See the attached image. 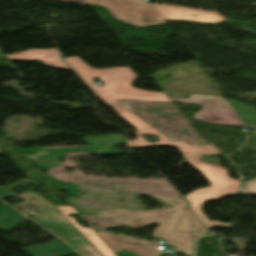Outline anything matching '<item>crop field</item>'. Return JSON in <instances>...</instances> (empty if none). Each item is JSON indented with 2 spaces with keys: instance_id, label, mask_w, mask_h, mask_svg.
<instances>
[{
  "instance_id": "1",
  "label": "crop field",
  "mask_w": 256,
  "mask_h": 256,
  "mask_svg": "<svg viewBox=\"0 0 256 256\" xmlns=\"http://www.w3.org/2000/svg\"><path fill=\"white\" fill-rule=\"evenodd\" d=\"M70 66L89 84V86L103 99L111 108L116 110L121 117L137 127V140L129 141V147H173L178 148L189 161V163L199 169L212 183L209 188L196 189L188 194L186 199L194 210L212 227H230L231 224H223L218 221L210 222L203 213L205 202L215 200L237 193L240 188L239 181L227 177V169L207 164L199 160L201 155H212L216 153L214 145L206 147L189 146L183 141L173 142L150 124L134 115L130 111L118 104L121 99H135L140 101L172 102L164 93H154L150 91L135 89L130 84L138 78L136 73L128 67H116L109 69H94L85 64L79 57L65 59ZM101 79L105 86L97 87L93 78ZM141 133L155 134L160 137L157 143H149Z\"/></svg>"
},
{
  "instance_id": "2",
  "label": "crop field",
  "mask_w": 256,
  "mask_h": 256,
  "mask_svg": "<svg viewBox=\"0 0 256 256\" xmlns=\"http://www.w3.org/2000/svg\"><path fill=\"white\" fill-rule=\"evenodd\" d=\"M153 197L163 199L164 202H168L170 206H176V208L147 212L111 210L100 212L97 215L101 217H114L116 222L124 223L132 228L159 223V227L154 230L152 236L164 237L168 240L167 243L177 247L176 252L192 254L193 241L172 233L187 205L182 199L178 198Z\"/></svg>"
},
{
  "instance_id": "3",
  "label": "crop field",
  "mask_w": 256,
  "mask_h": 256,
  "mask_svg": "<svg viewBox=\"0 0 256 256\" xmlns=\"http://www.w3.org/2000/svg\"><path fill=\"white\" fill-rule=\"evenodd\" d=\"M17 197L25 202L15 205L16 207H20L25 212L38 209L41 213L34 215L38 219L37 222L69 242L81 256H101L89 245L83 235L47 201L32 192L18 195Z\"/></svg>"
},
{
  "instance_id": "4",
  "label": "crop field",
  "mask_w": 256,
  "mask_h": 256,
  "mask_svg": "<svg viewBox=\"0 0 256 256\" xmlns=\"http://www.w3.org/2000/svg\"><path fill=\"white\" fill-rule=\"evenodd\" d=\"M89 5L104 6L113 17L136 28L165 24L156 9L141 0H86Z\"/></svg>"
},
{
  "instance_id": "5",
  "label": "crop field",
  "mask_w": 256,
  "mask_h": 256,
  "mask_svg": "<svg viewBox=\"0 0 256 256\" xmlns=\"http://www.w3.org/2000/svg\"><path fill=\"white\" fill-rule=\"evenodd\" d=\"M173 102L201 105L202 110L195 113L193 119L213 125L239 126L246 125L239 118L232 106L224 97H212L190 94L189 99L171 98Z\"/></svg>"
},
{
  "instance_id": "6",
  "label": "crop field",
  "mask_w": 256,
  "mask_h": 256,
  "mask_svg": "<svg viewBox=\"0 0 256 256\" xmlns=\"http://www.w3.org/2000/svg\"><path fill=\"white\" fill-rule=\"evenodd\" d=\"M98 235L108 244L114 251L127 250L141 256H158L160 250H157L158 243H151L142 239L125 236L122 234L113 235L106 231L98 233Z\"/></svg>"
},
{
  "instance_id": "7",
  "label": "crop field",
  "mask_w": 256,
  "mask_h": 256,
  "mask_svg": "<svg viewBox=\"0 0 256 256\" xmlns=\"http://www.w3.org/2000/svg\"><path fill=\"white\" fill-rule=\"evenodd\" d=\"M154 5L161 13L165 21H190L201 24H216L225 21L222 16L210 12L156 4Z\"/></svg>"
},
{
  "instance_id": "8",
  "label": "crop field",
  "mask_w": 256,
  "mask_h": 256,
  "mask_svg": "<svg viewBox=\"0 0 256 256\" xmlns=\"http://www.w3.org/2000/svg\"><path fill=\"white\" fill-rule=\"evenodd\" d=\"M9 60L42 61L45 66L70 70L60 58L56 49H32L16 55L7 56Z\"/></svg>"
},
{
  "instance_id": "9",
  "label": "crop field",
  "mask_w": 256,
  "mask_h": 256,
  "mask_svg": "<svg viewBox=\"0 0 256 256\" xmlns=\"http://www.w3.org/2000/svg\"><path fill=\"white\" fill-rule=\"evenodd\" d=\"M25 154L40 153V150H48L47 157L38 158V163H33L37 168L48 170L59 162L72 151H92L90 148H62V149H42V148H20Z\"/></svg>"
},
{
  "instance_id": "10",
  "label": "crop field",
  "mask_w": 256,
  "mask_h": 256,
  "mask_svg": "<svg viewBox=\"0 0 256 256\" xmlns=\"http://www.w3.org/2000/svg\"><path fill=\"white\" fill-rule=\"evenodd\" d=\"M206 226L197 218L194 212L188 207L181 222L176 228V234L195 240L199 235H206Z\"/></svg>"
},
{
  "instance_id": "11",
  "label": "crop field",
  "mask_w": 256,
  "mask_h": 256,
  "mask_svg": "<svg viewBox=\"0 0 256 256\" xmlns=\"http://www.w3.org/2000/svg\"><path fill=\"white\" fill-rule=\"evenodd\" d=\"M57 208L66 217V219L72 225H74L103 256H115L114 253L101 241V239L93 230L81 227L75 223L73 218L67 217V215L78 214L72 206H57Z\"/></svg>"
},
{
  "instance_id": "12",
  "label": "crop field",
  "mask_w": 256,
  "mask_h": 256,
  "mask_svg": "<svg viewBox=\"0 0 256 256\" xmlns=\"http://www.w3.org/2000/svg\"><path fill=\"white\" fill-rule=\"evenodd\" d=\"M84 140L97 155L121 153L113 146L119 143H126L123 135L95 136Z\"/></svg>"
},
{
  "instance_id": "13",
  "label": "crop field",
  "mask_w": 256,
  "mask_h": 256,
  "mask_svg": "<svg viewBox=\"0 0 256 256\" xmlns=\"http://www.w3.org/2000/svg\"><path fill=\"white\" fill-rule=\"evenodd\" d=\"M33 256H68L75 252L59 240L26 248Z\"/></svg>"
},
{
  "instance_id": "14",
  "label": "crop field",
  "mask_w": 256,
  "mask_h": 256,
  "mask_svg": "<svg viewBox=\"0 0 256 256\" xmlns=\"http://www.w3.org/2000/svg\"><path fill=\"white\" fill-rule=\"evenodd\" d=\"M20 213L14 211L13 209L3 205L0 207V228L4 230H11L20 223L24 222L26 219L23 217H16Z\"/></svg>"
},
{
  "instance_id": "15",
  "label": "crop field",
  "mask_w": 256,
  "mask_h": 256,
  "mask_svg": "<svg viewBox=\"0 0 256 256\" xmlns=\"http://www.w3.org/2000/svg\"><path fill=\"white\" fill-rule=\"evenodd\" d=\"M230 104L233 106V108L236 110L238 115L241 117V119L247 120L246 122L247 126H251L254 123H256V112L252 109L248 108L247 106L241 105L236 102L229 101Z\"/></svg>"
},
{
  "instance_id": "16",
  "label": "crop field",
  "mask_w": 256,
  "mask_h": 256,
  "mask_svg": "<svg viewBox=\"0 0 256 256\" xmlns=\"http://www.w3.org/2000/svg\"><path fill=\"white\" fill-rule=\"evenodd\" d=\"M47 178L57 187L60 189H64L67 190L74 198H79L80 195V191L72 184H67V186H64V184L66 183H60L56 180H54L53 178H51L50 176L47 175Z\"/></svg>"
},
{
  "instance_id": "17",
  "label": "crop field",
  "mask_w": 256,
  "mask_h": 256,
  "mask_svg": "<svg viewBox=\"0 0 256 256\" xmlns=\"http://www.w3.org/2000/svg\"><path fill=\"white\" fill-rule=\"evenodd\" d=\"M27 184H31V182H29V181L19 182V183L11 184V185L6 186V187H2V188H0V196L3 199L14 196L13 194L8 192L7 190L17 188V187H20V186H24V185H27Z\"/></svg>"
},
{
  "instance_id": "18",
  "label": "crop field",
  "mask_w": 256,
  "mask_h": 256,
  "mask_svg": "<svg viewBox=\"0 0 256 256\" xmlns=\"http://www.w3.org/2000/svg\"><path fill=\"white\" fill-rule=\"evenodd\" d=\"M245 187L247 188L241 193H247V194H256V179L249 181L246 183Z\"/></svg>"
},
{
  "instance_id": "19",
  "label": "crop field",
  "mask_w": 256,
  "mask_h": 256,
  "mask_svg": "<svg viewBox=\"0 0 256 256\" xmlns=\"http://www.w3.org/2000/svg\"><path fill=\"white\" fill-rule=\"evenodd\" d=\"M53 1L73 2V3H77V4H85V5H87L84 0H53Z\"/></svg>"
},
{
  "instance_id": "20",
  "label": "crop field",
  "mask_w": 256,
  "mask_h": 256,
  "mask_svg": "<svg viewBox=\"0 0 256 256\" xmlns=\"http://www.w3.org/2000/svg\"><path fill=\"white\" fill-rule=\"evenodd\" d=\"M115 254H117V255H119V256H138V255H136V254H133V253L127 252V251H121V252H117V253H115Z\"/></svg>"
},
{
  "instance_id": "21",
  "label": "crop field",
  "mask_w": 256,
  "mask_h": 256,
  "mask_svg": "<svg viewBox=\"0 0 256 256\" xmlns=\"http://www.w3.org/2000/svg\"><path fill=\"white\" fill-rule=\"evenodd\" d=\"M0 59H2V60H8L7 57H6L5 55H3V54H0Z\"/></svg>"
},
{
  "instance_id": "22",
  "label": "crop field",
  "mask_w": 256,
  "mask_h": 256,
  "mask_svg": "<svg viewBox=\"0 0 256 256\" xmlns=\"http://www.w3.org/2000/svg\"><path fill=\"white\" fill-rule=\"evenodd\" d=\"M253 133L255 134V136H256V131H253Z\"/></svg>"
},
{
  "instance_id": "23",
  "label": "crop field",
  "mask_w": 256,
  "mask_h": 256,
  "mask_svg": "<svg viewBox=\"0 0 256 256\" xmlns=\"http://www.w3.org/2000/svg\"><path fill=\"white\" fill-rule=\"evenodd\" d=\"M160 256V255H159Z\"/></svg>"
}]
</instances>
